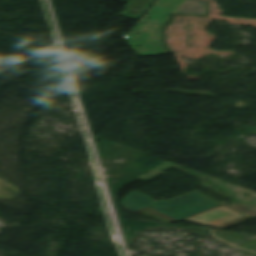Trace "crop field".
<instances>
[{
  "label": "crop field",
  "mask_w": 256,
  "mask_h": 256,
  "mask_svg": "<svg viewBox=\"0 0 256 256\" xmlns=\"http://www.w3.org/2000/svg\"><path fill=\"white\" fill-rule=\"evenodd\" d=\"M157 1L153 4V6H155L153 7L154 9H150L132 30L146 31V33H140V37H138L137 33L124 35L139 56L166 54L161 46V29L169 19L170 14L207 16L208 2L190 0ZM193 4L197 5V7ZM200 12H203V14H200ZM147 14H150V17H148ZM143 23H146V25H143ZM137 38H140V40H137ZM134 41H136V43ZM151 42L153 45L150 44ZM138 46H140V48H138Z\"/></svg>",
  "instance_id": "1"
},
{
  "label": "crop field",
  "mask_w": 256,
  "mask_h": 256,
  "mask_svg": "<svg viewBox=\"0 0 256 256\" xmlns=\"http://www.w3.org/2000/svg\"><path fill=\"white\" fill-rule=\"evenodd\" d=\"M221 205L220 203L196 192H190L169 201H154L134 190L123 198L122 206L138 211L150 207L176 221Z\"/></svg>",
  "instance_id": "2"
},
{
  "label": "crop field",
  "mask_w": 256,
  "mask_h": 256,
  "mask_svg": "<svg viewBox=\"0 0 256 256\" xmlns=\"http://www.w3.org/2000/svg\"><path fill=\"white\" fill-rule=\"evenodd\" d=\"M241 216L244 215L221 205L219 207L184 219V221L216 226L231 221L233 219L239 218Z\"/></svg>",
  "instance_id": "3"
},
{
  "label": "crop field",
  "mask_w": 256,
  "mask_h": 256,
  "mask_svg": "<svg viewBox=\"0 0 256 256\" xmlns=\"http://www.w3.org/2000/svg\"><path fill=\"white\" fill-rule=\"evenodd\" d=\"M154 0H129L125 10L120 13L125 17L131 19H140L144 12L148 9ZM139 7V11H135V8Z\"/></svg>",
  "instance_id": "4"
},
{
  "label": "crop field",
  "mask_w": 256,
  "mask_h": 256,
  "mask_svg": "<svg viewBox=\"0 0 256 256\" xmlns=\"http://www.w3.org/2000/svg\"><path fill=\"white\" fill-rule=\"evenodd\" d=\"M248 220H251V218H249V217H244V218H242V219H239V220H237V221L231 222V223H229V224L223 225V226L218 227V228L226 229V228H229V227H231V226H234V225L243 223V222L248 221Z\"/></svg>",
  "instance_id": "5"
}]
</instances>
